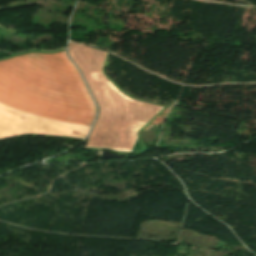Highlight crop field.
<instances>
[{
    "mask_svg": "<svg viewBox=\"0 0 256 256\" xmlns=\"http://www.w3.org/2000/svg\"><path fill=\"white\" fill-rule=\"evenodd\" d=\"M0 102L63 121L92 124L94 103L65 51L0 61ZM0 103V139L24 134L83 138L88 125L41 117Z\"/></svg>",
    "mask_w": 256,
    "mask_h": 256,
    "instance_id": "8a807250",
    "label": "crop field"
},
{
    "mask_svg": "<svg viewBox=\"0 0 256 256\" xmlns=\"http://www.w3.org/2000/svg\"><path fill=\"white\" fill-rule=\"evenodd\" d=\"M69 54L80 68L100 109L84 147L130 152L137 139L136 132L162 108L128 98L106 78L102 68L107 52L70 42Z\"/></svg>",
    "mask_w": 256,
    "mask_h": 256,
    "instance_id": "ac0d7876",
    "label": "crop field"
}]
</instances>
